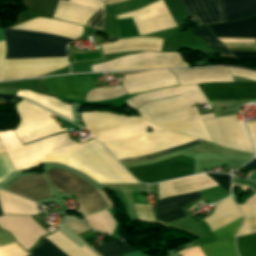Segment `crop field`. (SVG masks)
<instances>
[{
    "mask_svg": "<svg viewBox=\"0 0 256 256\" xmlns=\"http://www.w3.org/2000/svg\"><path fill=\"white\" fill-rule=\"evenodd\" d=\"M16 111L20 124L14 133L22 144L66 130L57 127L49 117L51 113L27 101L17 103ZM14 133L12 130L0 131V140L15 170L35 167L95 141L93 139L86 143H74L68 133H65L22 147ZM47 162H58L74 168L99 184L138 183L97 141Z\"/></svg>",
    "mask_w": 256,
    "mask_h": 256,
    "instance_id": "8a807250",
    "label": "crop field"
},
{
    "mask_svg": "<svg viewBox=\"0 0 256 256\" xmlns=\"http://www.w3.org/2000/svg\"><path fill=\"white\" fill-rule=\"evenodd\" d=\"M86 130L90 131L99 141L129 137L145 133V129L151 128L153 131L164 130L138 117H127L111 114L108 112H83L80 113ZM192 137L182 135L169 130L146 133L130 138L110 140L101 142L117 160L147 155L167 148L194 141ZM204 141H194L171 149L147 156L120 160L121 163L137 160L150 159L163 155L187 146H191Z\"/></svg>",
    "mask_w": 256,
    "mask_h": 256,
    "instance_id": "ac0d7876",
    "label": "crop field"
},
{
    "mask_svg": "<svg viewBox=\"0 0 256 256\" xmlns=\"http://www.w3.org/2000/svg\"><path fill=\"white\" fill-rule=\"evenodd\" d=\"M4 36L7 47L5 59L67 56L66 44L73 40L58 35L13 29L4 30ZM67 65V57L4 60L0 80L36 77Z\"/></svg>",
    "mask_w": 256,
    "mask_h": 256,
    "instance_id": "34b2d1b8",
    "label": "crop field"
},
{
    "mask_svg": "<svg viewBox=\"0 0 256 256\" xmlns=\"http://www.w3.org/2000/svg\"><path fill=\"white\" fill-rule=\"evenodd\" d=\"M176 88L183 95L148 103L136 110L139 117L157 126L211 142L202 119L214 117L213 112L198 117L195 107H192L208 102L205 96L197 85Z\"/></svg>",
    "mask_w": 256,
    "mask_h": 256,
    "instance_id": "412701ff",
    "label": "crop field"
},
{
    "mask_svg": "<svg viewBox=\"0 0 256 256\" xmlns=\"http://www.w3.org/2000/svg\"><path fill=\"white\" fill-rule=\"evenodd\" d=\"M234 208H236L235 203L233 202L231 197H228V198L216 203L214 212L211 214L210 217H208L204 220L207 222V221H209L227 211H230ZM241 217H242V214L239 211V209L237 208V209L227 212V213H225L207 223L210 226L211 231H214V230H216L226 224H229ZM241 221H242V218L213 232L212 234H213L215 240L219 241V240L234 238V235H235ZM201 248L206 256H238L235 251V248H234V239L202 245Z\"/></svg>",
    "mask_w": 256,
    "mask_h": 256,
    "instance_id": "f4fd0767",
    "label": "crop field"
},
{
    "mask_svg": "<svg viewBox=\"0 0 256 256\" xmlns=\"http://www.w3.org/2000/svg\"><path fill=\"white\" fill-rule=\"evenodd\" d=\"M45 173L52 188L62 194H74L89 213L109 208L98 192L77 175L57 168Z\"/></svg>",
    "mask_w": 256,
    "mask_h": 256,
    "instance_id": "dd49c442",
    "label": "crop field"
},
{
    "mask_svg": "<svg viewBox=\"0 0 256 256\" xmlns=\"http://www.w3.org/2000/svg\"><path fill=\"white\" fill-rule=\"evenodd\" d=\"M190 66L180 53H141L93 65V72Z\"/></svg>",
    "mask_w": 256,
    "mask_h": 256,
    "instance_id": "e52e79f7",
    "label": "crop field"
},
{
    "mask_svg": "<svg viewBox=\"0 0 256 256\" xmlns=\"http://www.w3.org/2000/svg\"><path fill=\"white\" fill-rule=\"evenodd\" d=\"M194 168V160L179 155L159 163L129 167L127 169L138 180L145 183H155L194 174Z\"/></svg>",
    "mask_w": 256,
    "mask_h": 256,
    "instance_id": "d8731c3e",
    "label": "crop field"
},
{
    "mask_svg": "<svg viewBox=\"0 0 256 256\" xmlns=\"http://www.w3.org/2000/svg\"><path fill=\"white\" fill-rule=\"evenodd\" d=\"M198 193L202 197L210 201L211 203H214L229 195L219 186H214L212 188L204 189V190L198 191ZM198 193L197 192L188 193V194L172 196L163 200H159L154 207L155 214L157 215V214L165 213L168 211L180 209L181 207L188 204L189 202L201 197ZM156 217L158 222L168 223V222H173L179 219H183L186 217V215L184 214L182 209H180V210L172 211L169 213L157 215Z\"/></svg>",
    "mask_w": 256,
    "mask_h": 256,
    "instance_id": "5a996713",
    "label": "crop field"
},
{
    "mask_svg": "<svg viewBox=\"0 0 256 256\" xmlns=\"http://www.w3.org/2000/svg\"><path fill=\"white\" fill-rule=\"evenodd\" d=\"M129 17H133L140 35L176 26L162 0L156 1L142 9L116 16L117 19Z\"/></svg>",
    "mask_w": 256,
    "mask_h": 256,
    "instance_id": "3316defc",
    "label": "crop field"
},
{
    "mask_svg": "<svg viewBox=\"0 0 256 256\" xmlns=\"http://www.w3.org/2000/svg\"><path fill=\"white\" fill-rule=\"evenodd\" d=\"M178 78L179 86L206 82H233L231 75L256 81V72L236 68L179 69L171 70Z\"/></svg>",
    "mask_w": 256,
    "mask_h": 256,
    "instance_id": "28ad6ade",
    "label": "crop field"
},
{
    "mask_svg": "<svg viewBox=\"0 0 256 256\" xmlns=\"http://www.w3.org/2000/svg\"><path fill=\"white\" fill-rule=\"evenodd\" d=\"M0 227L12 233L16 241L26 250L45 234L29 216H1Z\"/></svg>",
    "mask_w": 256,
    "mask_h": 256,
    "instance_id": "d1516ede",
    "label": "crop field"
},
{
    "mask_svg": "<svg viewBox=\"0 0 256 256\" xmlns=\"http://www.w3.org/2000/svg\"><path fill=\"white\" fill-rule=\"evenodd\" d=\"M198 86L208 100L256 99V82L207 83Z\"/></svg>",
    "mask_w": 256,
    "mask_h": 256,
    "instance_id": "22f410ed",
    "label": "crop field"
},
{
    "mask_svg": "<svg viewBox=\"0 0 256 256\" xmlns=\"http://www.w3.org/2000/svg\"><path fill=\"white\" fill-rule=\"evenodd\" d=\"M103 6L104 3L99 0H70L69 2L59 0L53 17L84 26Z\"/></svg>",
    "mask_w": 256,
    "mask_h": 256,
    "instance_id": "cbeb9de0",
    "label": "crop field"
},
{
    "mask_svg": "<svg viewBox=\"0 0 256 256\" xmlns=\"http://www.w3.org/2000/svg\"><path fill=\"white\" fill-rule=\"evenodd\" d=\"M47 87L53 93L69 99H84L85 94L95 88L96 84L90 76H59L44 78ZM51 92V93H52Z\"/></svg>",
    "mask_w": 256,
    "mask_h": 256,
    "instance_id": "5142ce71",
    "label": "crop field"
},
{
    "mask_svg": "<svg viewBox=\"0 0 256 256\" xmlns=\"http://www.w3.org/2000/svg\"><path fill=\"white\" fill-rule=\"evenodd\" d=\"M176 84L175 75L168 70L129 75L122 82L123 88L129 94Z\"/></svg>",
    "mask_w": 256,
    "mask_h": 256,
    "instance_id": "d9b57169",
    "label": "crop field"
},
{
    "mask_svg": "<svg viewBox=\"0 0 256 256\" xmlns=\"http://www.w3.org/2000/svg\"><path fill=\"white\" fill-rule=\"evenodd\" d=\"M45 238L58 247L67 256H95L85 246L81 248L78 247L58 231ZM45 238L41 240V245L32 250V256H66Z\"/></svg>",
    "mask_w": 256,
    "mask_h": 256,
    "instance_id": "733c2abd",
    "label": "crop field"
},
{
    "mask_svg": "<svg viewBox=\"0 0 256 256\" xmlns=\"http://www.w3.org/2000/svg\"><path fill=\"white\" fill-rule=\"evenodd\" d=\"M190 18L197 20V25L209 26L222 23L220 0H180Z\"/></svg>",
    "mask_w": 256,
    "mask_h": 256,
    "instance_id": "4a817a6b",
    "label": "crop field"
},
{
    "mask_svg": "<svg viewBox=\"0 0 256 256\" xmlns=\"http://www.w3.org/2000/svg\"><path fill=\"white\" fill-rule=\"evenodd\" d=\"M5 190L34 201L53 197L45 174L22 177Z\"/></svg>",
    "mask_w": 256,
    "mask_h": 256,
    "instance_id": "bc2a9ffb",
    "label": "crop field"
},
{
    "mask_svg": "<svg viewBox=\"0 0 256 256\" xmlns=\"http://www.w3.org/2000/svg\"><path fill=\"white\" fill-rule=\"evenodd\" d=\"M209 28L216 37L256 38V17Z\"/></svg>",
    "mask_w": 256,
    "mask_h": 256,
    "instance_id": "214f88e0",
    "label": "crop field"
},
{
    "mask_svg": "<svg viewBox=\"0 0 256 256\" xmlns=\"http://www.w3.org/2000/svg\"><path fill=\"white\" fill-rule=\"evenodd\" d=\"M224 22L256 15V0H221Z\"/></svg>",
    "mask_w": 256,
    "mask_h": 256,
    "instance_id": "92a150f3",
    "label": "crop field"
},
{
    "mask_svg": "<svg viewBox=\"0 0 256 256\" xmlns=\"http://www.w3.org/2000/svg\"><path fill=\"white\" fill-rule=\"evenodd\" d=\"M9 193V192H8ZM0 190V207L2 214H21L30 215L37 214V208L33 202L24 200L15 195L8 194ZM0 210V215L1 214Z\"/></svg>",
    "mask_w": 256,
    "mask_h": 256,
    "instance_id": "dafd665d",
    "label": "crop field"
},
{
    "mask_svg": "<svg viewBox=\"0 0 256 256\" xmlns=\"http://www.w3.org/2000/svg\"><path fill=\"white\" fill-rule=\"evenodd\" d=\"M18 96L29 98V99L45 106L46 108L72 120V114H71L69 104L62 103L60 100H58L56 98L36 94V93H33L28 90L20 91Z\"/></svg>",
    "mask_w": 256,
    "mask_h": 256,
    "instance_id": "00972430",
    "label": "crop field"
},
{
    "mask_svg": "<svg viewBox=\"0 0 256 256\" xmlns=\"http://www.w3.org/2000/svg\"><path fill=\"white\" fill-rule=\"evenodd\" d=\"M179 94L180 93L178 92V90L175 87H173L169 89L153 91L151 93L140 94L125 102L127 103L128 106L136 109L144 103L164 99V98L179 95Z\"/></svg>",
    "mask_w": 256,
    "mask_h": 256,
    "instance_id": "a9b5d70f",
    "label": "crop field"
},
{
    "mask_svg": "<svg viewBox=\"0 0 256 256\" xmlns=\"http://www.w3.org/2000/svg\"><path fill=\"white\" fill-rule=\"evenodd\" d=\"M88 224L97 230L111 234L115 225L107 210L84 217Z\"/></svg>",
    "mask_w": 256,
    "mask_h": 256,
    "instance_id": "4177f3b9",
    "label": "crop field"
},
{
    "mask_svg": "<svg viewBox=\"0 0 256 256\" xmlns=\"http://www.w3.org/2000/svg\"><path fill=\"white\" fill-rule=\"evenodd\" d=\"M245 219L237 233L238 236L256 232V205H238Z\"/></svg>",
    "mask_w": 256,
    "mask_h": 256,
    "instance_id": "730fd06b",
    "label": "crop field"
},
{
    "mask_svg": "<svg viewBox=\"0 0 256 256\" xmlns=\"http://www.w3.org/2000/svg\"><path fill=\"white\" fill-rule=\"evenodd\" d=\"M191 31L195 36L202 37L206 44L216 53L234 56L211 34L207 27L195 26L191 28Z\"/></svg>",
    "mask_w": 256,
    "mask_h": 256,
    "instance_id": "eef30255",
    "label": "crop field"
},
{
    "mask_svg": "<svg viewBox=\"0 0 256 256\" xmlns=\"http://www.w3.org/2000/svg\"><path fill=\"white\" fill-rule=\"evenodd\" d=\"M94 250L97 251L101 256H119L134 251L120 240L104 244Z\"/></svg>",
    "mask_w": 256,
    "mask_h": 256,
    "instance_id": "ae1a2a85",
    "label": "crop field"
},
{
    "mask_svg": "<svg viewBox=\"0 0 256 256\" xmlns=\"http://www.w3.org/2000/svg\"><path fill=\"white\" fill-rule=\"evenodd\" d=\"M125 93L126 92L121 85L112 87V88H96L87 93L85 100L86 101L101 100V99L116 97Z\"/></svg>",
    "mask_w": 256,
    "mask_h": 256,
    "instance_id": "d3111659",
    "label": "crop field"
},
{
    "mask_svg": "<svg viewBox=\"0 0 256 256\" xmlns=\"http://www.w3.org/2000/svg\"><path fill=\"white\" fill-rule=\"evenodd\" d=\"M237 252L240 256H256V233L237 237Z\"/></svg>",
    "mask_w": 256,
    "mask_h": 256,
    "instance_id": "750c4746",
    "label": "crop field"
},
{
    "mask_svg": "<svg viewBox=\"0 0 256 256\" xmlns=\"http://www.w3.org/2000/svg\"><path fill=\"white\" fill-rule=\"evenodd\" d=\"M0 153H5L0 143ZM14 169L6 154H0V183L10 176Z\"/></svg>",
    "mask_w": 256,
    "mask_h": 256,
    "instance_id": "bd1437ed",
    "label": "crop field"
},
{
    "mask_svg": "<svg viewBox=\"0 0 256 256\" xmlns=\"http://www.w3.org/2000/svg\"><path fill=\"white\" fill-rule=\"evenodd\" d=\"M105 19L104 7L99 10L92 18L87 22L86 26L103 31Z\"/></svg>",
    "mask_w": 256,
    "mask_h": 256,
    "instance_id": "1d83c4d3",
    "label": "crop field"
},
{
    "mask_svg": "<svg viewBox=\"0 0 256 256\" xmlns=\"http://www.w3.org/2000/svg\"><path fill=\"white\" fill-rule=\"evenodd\" d=\"M28 255L16 243L0 247V256H25Z\"/></svg>",
    "mask_w": 256,
    "mask_h": 256,
    "instance_id": "120bbe31",
    "label": "crop field"
},
{
    "mask_svg": "<svg viewBox=\"0 0 256 256\" xmlns=\"http://www.w3.org/2000/svg\"><path fill=\"white\" fill-rule=\"evenodd\" d=\"M214 182L229 193L230 175L207 174Z\"/></svg>",
    "mask_w": 256,
    "mask_h": 256,
    "instance_id": "d32e631a",
    "label": "crop field"
},
{
    "mask_svg": "<svg viewBox=\"0 0 256 256\" xmlns=\"http://www.w3.org/2000/svg\"><path fill=\"white\" fill-rule=\"evenodd\" d=\"M234 187H245L256 191V183L241 178L233 177L232 193H234Z\"/></svg>",
    "mask_w": 256,
    "mask_h": 256,
    "instance_id": "5866460e",
    "label": "crop field"
},
{
    "mask_svg": "<svg viewBox=\"0 0 256 256\" xmlns=\"http://www.w3.org/2000/svg\"><path fill=\"white\" fill-rule=\"evenodd\" d=\"M180 256H205L199 246L178 252Z\"/></svg>",
    "mask_w": 256,
    "mask_h": 256,
    "instance_id": "028f5c9d",
    "label": "crop field"
},
{
    "mask_svg": "<svg viewBox=\"0 0 256 256\" xmlns=\"http://www.w3.org/2000/svg\"><path fill=\"white\" fill-rule=\"evenodd\" d=\"M0 40H4L1 27H0ZM5 52H6L5 43H4V41H0V63L3 62V59L5 57ZM1 66H2V64H0V68H1Z\"/></svg>",
    "mask_w": 256,
    "mask_h": 256,
    "instance_id": "e1f06a70",
    "label": "crop field"
},
{
    "mask_svg": "<svg viewBox=\"0 0 256 256\" xmlns=\"http://www.w3.org/2000/svg\"><path fill=\"white\" fill-rule=\"evenodd\" d=\"M236 57L256 58V52L230 51Z\"/></svg>",
    "mask_w": 256,
    "mask_h": 256,
    "instance_id": "0bd39190",
    "label": "crop field"
},
{
    "mask_svg": "<svg viewBox=\"0 0 256 256\" xmlns=\"http://www.w3.org/2000/svg\"><path fill=\"white\" fill-rule=\"evenodd\" d=\"M10 242L14 241L9 237V235L6 232L0 231V245L7 244Z\"/></svg>",
    "mask_w": 256,
    "mask_h": 256,
    "instance_id": "b80d0937",
    "label": "crop field"
},
{
    "mask_svg": "<svg viewBox=\"0 0 256 256\" xmlns=\"http://www.w3.org/2000/svg\"><path fill=\"white\" fill-rule=\"evenodd\" d=\"M244 167L250 168V169H256V159L252 160V163H247ZM250 179L256 180V171H253L252 175L250 176Z\"/></svg>",
    "mask_w": 256,
    "mask_h": 256,
    "instance_id": "c035e120",
    "label": "crop field"
},
{
    "mask_svg": "<svg viewBox=\"0 0 256 256\" xmlns=\"http://www.w3.org/2000/svg\"><path fill=\"white\" fill-rule=\"evenodd\" d=\"M123 256H146V255L135 252V253H131V254L123 255Z\"/></svg>",
    "mask_w": 256,
    "mask_h": 256,
    "instance_id": "c21b1889",
    "label": "crop field"
},
{
    "mask_svg": "<svg viewBox=\"0 0 256 256\" xmlns=\"http://www.w3.org/2000/svg\"><path fill=\"white\" fill-rule=\"evenodd\" d=\"M118 1H122V0H109V1H107L105 3L110 4V3H114V2H118Z\"/></svg>",
    "mask_w": 256,
    "mask_h": 256,
    "instance_id": "03da06ac",
    "label": "crop field"
}]
</instances>
